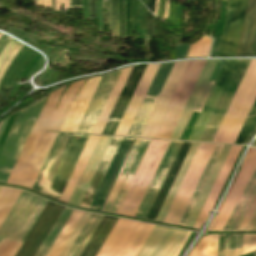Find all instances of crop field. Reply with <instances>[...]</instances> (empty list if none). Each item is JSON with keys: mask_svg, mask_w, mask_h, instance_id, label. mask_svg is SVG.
Returning <instances> with one entry per match:
<instances>
[{"mask_svg": "<svg viewBox=\"0 0 256 256\" xmlns=\"http://www.w3.org/2000/svg\"><path fill=\"white\" fill-rule=\"evenodd\" d=\"M256 133V100L248 114V117L235 141V144L246 145Z\"/></svg>", "mask_w": 256, "mask_h": 256, "instance_id": "e1f06a70", "label": "crop field"}, {"mask_svg": "<svg viewBox=\"0 0 256 256\" xmlns=\"http://www.w3.org/2000/svg\"><path fill=\"white\" fill-rule=\"evenodd\" d=\"M62 209L63 206L48 201L15 256H34Z\"/></svg>", "mask_w": 256, "mask_h": 256, "instance_id": "3316defc", "label": "crop field"}, {"mask_svg": "<svg viewBox=\"0 0 256 256\" xmlns=\"http://www.w3.org/2000/svg\"><path fill=\"white\" fill-rule=\"evenodd\" d=\"M199 145L200 144H196V143L192 144V146H191V148L181 166V169H180V171H179V173H178V175L168 193V196H167V198H166V200L156 218L157 221H161V222L163 221Z\"/></svg>", "mask_w": 256, "mask_h": 256, "instance_id": "750c4746", "label": "crop field"}, {"mask_svg": "<svg viewBox=\"0 0 256 256\" xmlns=\"http://www.w3.org/2000/svg\"><path fill=\"white\" fill-rule=\"evenodd\" d=\"M61 3L64 4V10H67L69 6V0H55V10H60Z\"/></svg>", "mask_w": 256, "mask_h": 256, "instance_id": "dbb93151", "label": "crop field"}, {"mask_svg": "<svg viewBox=\"0 0 256 256\" xmlns=\"http://www.w3.org/2000/svg\"><path fill=\"white\" fill-rule=\"evenodd\" d=\"M173 64L160 65L126 136H139Z\"/></svg>", "mask_w": 256, "mask_h": 256, "instance_id": "d1516ede", "label": "crop field"}, {"mask_svg": "<svg viewBox=\"0 0 256 256\" xmlns=\"http://www.w3.org/2000/svg\"><path fill=\"white\" fill-rule=\"evenodd\" d=\"M72 7H79V8H82V6H81V0H70V6H69V8H72Z\"/></svg>", "mask_w": 256, "mask_h": 256, "instance_id": "7b73153f", "label": "crop field"}, {"mask_svg": "<svg viewBox=\"0 0 256 256\" xmlns=\"http://www.w3.org/2000/svg\"><path fill=\"white\" fill-rule=\"evenodd\" d=\"M111 138L112 137H106V136L100 137L85 167V170L69 200L70 204H74L77 206L79 205Z\"/></svg>", "mask_w": 256, "mask_h": 256, "instance_id": "92a150f3", "label": "crop field"}, {"mask_svg": "<svg viewBox=\"0 0 256 256\" xmlns=\"http://www.w3.org/2000/svg\"><path fill=\"white\" fill-rule=\"evenodd\" d=\"M231 147L232 146H228V145L224 146V148H223V150H222V152H221V154H220V156H219V158H218V160H217V162H216V164L206 182V185H205V187H204V189H203V191H202V193H201V195H200V197H199V199H198V201H197V203H196V205L186 223L187 227H191V228L193 227Z\"/></svg>", "mask_w": 256, "mask_h": 256, "instance_id": "d3111659", "label": "crop field"}, {"mask_svg": "<svg viewBox=\"0 0 256 256\" xmlns=\"http://www.w3.org/2000/svg\"><path fill=\"white\" fill-rule=\"evenodd\" d=\"M45 97L20 111L0 152V182L5 183L15 160L43 106Z\"/></svg>", "mask_w": 256, "mask_h": 256, "instance_id": "412701ff", "label": "crop field"}, {"mask_svg": "<svg viewBox=\"0 0 256 256\" xmlns=\"http://www.w3.org/2000/svg\"><path fill=\"white\" fill-rule=\"evenodd\" d=\"M85 81L71 84L60 100L64 87L49 94L6 183L32 188L58 134L44 132V130H59L78 89Z\"/></svg>", "mask_w": 256, "mask_h": 256, "instance_id": "8a807250", "label": "crop field"}, {"mask_svg": "<svg viewBox=\"0 0 256 256\" xmlns=\"http://www.w3.org/2000/svg\"><path fill=\"white\" fill-rule=\"evenodd\" d=\"M147 35L154 36V25H153V15L147 11V28H146Z\"/></svg>", "mask_w": 256, "mask_h": 256, "instance_id": "425ffa30", "label": "crop field"}, {"mask_svg": "<svg viewBox=\"0 0 256 256\" xmlns=\"http://www.w3.org/2000/svg\"><path fill=\"white\" fill-rule=\"evenodd\" d=\"M236 56H256V0H249Z\"/></svg>", "mask_w": 256, "mask_h": 256, "instance_id": "00972430", "label": "crop field"}, {"mask_svg": "<svg viewBox=\"0 0 256 256\" xmlns=\"http://www.w3.org/2000/svg\"><path fill=\"white\" fill-rule=\"evenodd\" d=\"M248 0H228V15L218 56H235Z\"/></svg>", "mask_w": 256, "mask_h": 256, "instance_id": "5a996713", "label": "crop field"}, {"mask_svg": "<svg viewBox=\"0 0 256 256\" xmlns=\"http://www.w3.org/2000/svg\"><path fill=\"white\" fill-rule=\"evenodd\" d=\"M34 52L35 51L29 49L26 46H23L21 48V50L18 52V54L13 59L11 65L9 66L7 72L5 73L4 77L2 78V80L0 82V95H1L3 88L12 87L20 70L26 64V62L29 60L30 56Z\"/></svg>", "mask_w": 256, "mask_h": 256, "instance_id": "bd1437ed", "label": "crop field"}, {"mask_svg": "<svg viewBox=\"0 0 256 256\" xmlns=\"http://www.w3.org/2000/svg\"><path fill=\"white\" fill-rule=\"evenodd\" d=\"M189 44L179 45L177 47V58L186 57Z\"/></svg>", "mask_w": 256, "mask_h": 256, "instance_id": "73cf0c24", "label": "crop field"}, {"mask_svg": "<svg viewBox=\"0 0 256 256\" xmlns=\"http://www.w3.org/2000/svg\"><path fill=\"white\" fill-rule=\"evenodd\" d=\"M252 147H256V140H255L254 143L252 144Z\"/></svg>", "mask_w": 256, "mask_h": 256, "instance_id": "ade564c9", "label": "crop field"}, {"mask_svg": "<svg viewBox=\"0 0 256 256\" xmlns=\"http://www.w3.org/2000/svg\"><path fill=\"white\" fill-rule=\"evenodd\" d=\"M89 215H90V213L84 212L83 216L79 220L78 224L76 225L75 229L73 230L72 234L68 238L67 242L65 243L64 247L62 248V250L60 251L58 256H64L66 254L67 250L71 246L72 242L76 238L77 234L79 233L80 229L84 225V223L87 220V218L89 217Z\"/></svg>", "mask_w": 256, "mask_h": 256, "instance_id": "c21b1889", "label": "crop field"}, {"mask_svg": "<svg viewBox=\"0 0 256 256\" xmlns=\"http://www.w3.org/2000/svg\"><path fill=\"white\" fill-rule=\"evenodd\" d=\"M118 218L103 216L79 256H96Z\"/></svg>", "mask_w": 256, "mask_h": 256, "instance_id": "ae1a2a85", "label": "crop field"}, {"mask_svg": "<svg viewBox=\"0 0 256 256\" xmlns=\"http://www.w3.org/2000/svg\"><path fill=\"white\" fill-rule=\"evenodd\" d=\"M223 63H224V61H218L217 62L216 66H215V68H214V70H213V72H212V74H211V76H210L206 86H205V89H204V91H203V93H202V95H201V97H200V99H199V101H198V103H197V105L195 107L194 112H196V113L200 112V110H201V108H202V106H203V104H204V102H205V100H206L210 90H211V87H212V85H213V83H214V81H215V79H216V77H217V75H218V73H219Z\"/></svg>", "mask_w": 256, "mask_h": 256, "instance_id": "c035e120", "label": "crop field"}, {"mask_svg": "<svg viewBox=\"0 0 256 256\" xmlns=\"http://www.w3.org/2000/svg\"><path fill=\"white\" fill-rule=\"evenodd\" d=\"M168 6H169V0L166 1V9H165V17H164V20H165V21H166V19H167Z\"/></svg>", "mask_w": 256, "mask_h": 256, "instance_id": "e1d0b9f6", "label": "crop field"}, {"mask_svg": "<svg viewBox=\"0 0 256 256\" xmlns=\"http://www.w3.org/2000/svg\"><path fill=\"white\" fill-rule=\"evenodd\" d=\"M7 121H8V119L5 120V121L3 122V124H2V126H1V128H0V135H1V133H2V131H3V129H4V127H5L6 123H7Z\"/></svg>", "mask_w": 256, "mask_h": 256, "instance_id": "ae633e8c", "label": "crop field"}, {"mask_svg": "<svg viewBox=\"0 0 256 256\" xmlns=\"http://www.w3.org/2000/svg\"><path fill=\"white\" fill-rule=\"evenodd\" d=\"M66 49H64L60 54H59V56L54 60V62L53 63H56V64H61V65H65V64H67L68 63V60H67V57H66V55H65V53H66Z\"/></svg>", "mask_w": 256, "mask_h": 256, "instance_id": "25e5ab78", "label": "crop field"}, {"mask_svg": "<svg viewBox=\"0 0 256 256\" xmlns=\"http://www.w3.org/2000/svg\"><path fill=\"white\" fill-rule=\"evenodd\" d=\"M154 1L155 0H148L147 7L153 13L154 10Z\"/></svg>", "mask_w": 256, "mask_h": 256, "instance_id": "78b8030e", "label": "crop field"}, {"mask_svg": "<svg viewBox=\"0 0 256 256\" xmlns=\"http://www.w3.org/2000/svg\"><path fill=\"white\" fill-rule=\"evenodd\" d=\"M160 64L148 65L114 135L125 136Z\"/></svg>", "mask_w": 256, "mask_h": 256, "instance_id": "bc2a9ffb", "label": "crop field"}, {"mask_svg": "<svg viewBox=\"0 0 256 256\" xmlns=\"http://www.w3.org/2000/svg\"><path fill=\"white\" fill-rule=\"evenodd\" d=\"M182 142L171 141L135 217L145 219Z\"/></svg>", "mask_w": 256, "mask_h": 256, "instance_id": "733c2abd", "label": "crop field"}, {"mask_svg": "<svg viewBox=\"0 0 256 256\" xmlns=\"http://www.w3.org/2000/svg\"><path fill=\"white\" fill-rule=\"evenodd\" d=\"M11 39L12 38L2 34V36L0 37V53L7 46V44L10 42Z\"/></svg>", "mask_w": 256, "mask_h": 256, "instance_id": "1f2cbd36", "label": "crop field"}, {"mask_svg": "<svg viewBox=\"0 0 256 256\" xmlns=\"http://www.w3.org/2000/svg\"><path fill=\"white\" fill-rule=\"evenodd\" d=\"M52 71H53V70L48 67L47 71L45 72L44 76L42 77L41 81H40L39 84H38L39 86H40L45 80L49 79V77H50Z\"/></svg>", "mask_w": 256, "mask_h": 256, "instance_id": "0765c3eb", "label": "crop field"}, {"mask_svg": "<svg viewBox=\"0 0 256 256\" xmlns=\"http://www.w3.org/2000/svg\"><path fill=\"white\" fill-rule=\"evenodd\" d=\"M102 216L91 213L75 242L73 243L71 249L66 256H78L83 249L84 245L88 241L89 237L93 233L97 224L101 220Z\"/></svg>", "mask_w": 256, "mask_h": 256, "instance_id": "120bbe31", "label": "crop field"}, {"mask_svg": "<svg viewBox=\"0 0 256 256\" xmlns=\"http://www.w3.org/2000/svg\"><path fill=\"white\" fill-rule=\"evenodd\" d=\"M100 17H101V26H100V31H102V28H103V18H102V0H100Z\"/></svg>", "mask_w": 256, "mask_h": 256, "instance_id": "0f1d7ab4", "label": "crop field"}, {"mask_svg": "<svg viewBox=\"0 0 256 256\" xmlns=\"http://www.w3.org/2000/svg\"><path fill=\"white\" fill-rule=\"evenodd\" d=\"M136 2H137V0H134L133 9H132V30H131V37L133 36L134 27H135V8H136Z\"/></svg>", "mask_w": 256, "mask_h": 256, "instance_id": "9d1cf04e", "label": "crop field"}, {"mask_svg": "<svg viewBox=\"0 0 256 256\" xmlns=\"http://www.w3.org/2000/svg\"><path fill=\"white\" fill-rule=\"evenodd\" d=\"M147 65L135 66L101 134L113 135Z\"/></svg>", "mask_w": 256, "mask_h": 256, "instance_id": "4a817a6b", "label": "crop field"}, {"mask_svg": "<svg viewBox=\"0 0 256 256\" xmlns=\"http://www.w3.org/2000/svg\"><path fill=\"white\" fill-rule=\"evenodd\" d=\"M90 18H96L95 0H89Z\"/></svg>", "mask_w": 256, "mask_h": 256, "instance_id": "1d79db26", "label": "crop field"}, {"mask_svg": "<svg viewBox=\"0 0 256 256\" xmlns=\"http://www.w3.org/2000/svg\"><path fill=\"white\" fill-rule=\"evenodd\" d=\"M120 71L102 77L76 132H91Z\"/></svg>", "mask_w": 256, "mask_h": 256, "instance_id": "5142ce71", "label": "crop field"}, {"mask_svg": "<svg viewBox=\"0 0 256 256\" xmlns=\"http://www.w3.org/2000/svg\"><path fill=\"white\" fill-rule=\"evenodd\" d=\"M149 142L150 141H143V140H136L135 141V143H134V145L131 149V152H130L127 160H126L127 163H126V165H125V167H124V169H123V171H122V173H121V175H120L116 184H119V185L123 186L128 174H131V175L134 174V172H135V170H136V168H137V166H138V164H139V162H140V160H141ZM135 147H138V149H137L134 157L131 158ZM125 192L126 191L120 189L115 201L114 202L107 201L104 208H103V211H108V212L115 213L119 204H120V202H121V200H122V198H123V196H124V194H125Z\"/></svg>", "mask_w": 256, "mask_h": 256, "instance_id": "a9b5d70f", "label": "crop field"}, {"mask_svg": "<svg viewBox=\"0 0 256 256\" xmlns=\"http://www.w3.org/2000/svg\"><path fill=\"white\" fill-rule=\"evenodd\" d=\"M83 5V19H89L88 16V0H82Z\"/></svg>", "mask_w": 256, "mask_h": 256, "instance_id": "0fb4a251", "label": "crop field"}, {"mask_svg": "<svg viewBox=\"0 0 256 256\" xmlns=\"http://www.w3.org/2000/svg\"><path fill=\"white\" fill-rule=\"evenodd\" d=\"M36 6L42 7V0H36Z\"/></svg>", "mask_w": 256, "mask_h": 256, "instance_id": "d14b1444", "label": "crop field"}, {"mask_svg": "<svg viewBox=\"0 0 256 256\" xmlns=\"http://www.w3.org/2000/svg\"><path fill=\"white\" fill-rule=\"evenodd\" d=\"M134 140L129 138L122 139L89 208L101 209Z\"/></svg>", "mask_w": 256, "mask_h": 256, "instance_id": "d9b57169", "label": "crop field"}, {"mask_svg": "<svg viewBox=\"0 0 256 256\" xmlns=\"http://www.w3.org/2000/svg\"><path fill=\"white\" fill-rule=\"evenodd\" d=\"M47 200L22 191L4 223L0 227L2 240L22 244Z\"/></svg>", "mask_w": 256, "mask_h": 256, "instance_id": "ac0d7876", "label": "crop field"}, {"mask_svg": "<svg viewBox=\"0 0 256 256\" xmlns=\"http://www.w3.org/2000/svg\"><path fill=\"white\" fill-rule=\"evenodd\" d=\"M240 149H241V147H237V146L232 147V149H231V151H230V153L220 171V174H219L193 228H200V226L202 225V223L208 216V211L213 209V207L219 197V194L226 182V179L233 167V164L240 152Z\"/></svg>", "mask_w": 256, "mask_h": 256, "instance_id": "dafd665d", "label": "crop field"}, {"mask_svg": "<svg viewBox=\"0 0 256 256\" xmlns=\"http://www.w3.org/2000/svg\"><path fill=\"white\" fill-rule=\"evenodd\" d=\"M17 41L13 40L9 43V45L5 48V50L0 55V65L4 58L7 56V54L10 52V50L13 48V46L16 44Z\"/></svg>", "mask_w": 256, "mask_h": 256, "instance_id": "89e229c0", "label": "crop field"}, {"mask_svg": "<svg viewBox=\"0 0 256 256\" xmlns=\"http://www.w3.org/2000/svg\"><path fill=\"white\" fill-rule=\"evenodd\" d=\"M255 211H256V196H255V198H254V200H253V202H252L248 212L246 213V215H245V217H244V219H243V221H242L238 231H246V229H247V227H248V225H249V223H250V221H251Z\"/></svg>", "mask_w": 256, "mask_h": 256, "instance_id": "5d738f31", "label": "crop field"}, {"mask_svg": "<svg viewBox=\"0 0 256 256\" xmlns=\"http://www.w3.org/2000/svg\"><path fill=\"white\" fill-rule=\"evenodd\" d=\"M243 235H219L217 256H239Z\"/></svg>", "mask_w": 256, "mask_h": 256, "instance_id": "5866460e", "label": "crop field"}, {"mask_svg": "<svg viewBox=\"0 0 256 256\" xmlns=\"http://www.w3.org/2000/svg\"><path fill=\"white\" fill-rule=\"evenodd\" d=\"M168 142L151 141L117 210L118 214L134 216Z\"/></svg>", "mask_w": 256, "mask_h": 256, "instance_id": "34b2d1b8", "label": "crop field"}, {"mask_svg": "<svg viewBox=\"0 0 256 256\" xmlns=\"http://www.w3.org/2000/svg\"><path fill=\"white\" fill-rule=\"evenodd\" d=\"M121 139L122 138H117V137L112 138V140H111V142H110V144H109V146H108V148H107V150H106V152L96 170V173H95V175H94V177H93V179H92V181H91V183H90V185H89V187L79 205L80 207H85V208L89 207L91 200L94 196V193H95Z\"/></svg>", "mask_w": 256, "mask_h": 256, "instance_id": "eef30255", "label": "crop field"}, {"mask_svg": "<svg viewBox=\"0 0 256 256\" xmlns=\"http://www.w3.org/2000/svg\"><path fill=\"white\" fill-rule=\"evenodd\" d=\"M72 212H73L72 209L64 207L63 211L59 215L58 219L56 220L55 224L53 225L52 229L48 233L47 237L45 238L44 242L40 246L35 256H46L49 249L51 248L54 241L56 240L57 236L59 235L62 228L64 227L65 223L67 222L68 218L72 214Z\"/></svg>", "mask_w": 256, "mask_h": 256, "instance_id": "d32e631a", "label": "crop field"}, {"mask_svg": "<svg viewBox=\"0 0 256 256\" xmlns=\"http://www.w3.org/2000/svg\"><path fill=\"white\" fill-rule=\"evenodd\" d=\"M219 41L214 39V43H213V47H212V51H211V55L210 57L216 56L217 55V51H218V47H219Z\"/></svg>", "mask_w": 256, "mask_h": 256, "instance_id": "447ae74e", "label": "crop field"}, {"mask_svg": "<svg viewBox=\"0 0 256 256\" xmlns=\"http://www.w3.org/2000/svg\"><path fill=\"white\" fill-rule=\"evenodd\" d=\"M192 143L183 142L146 219L154 220Z\"/></svg>", "mask_w": 256, "mask_h": 256, "instance_id": "730fd06b", "label": "crop field"}, {"mask_svg": "<svg viewBox=\"0 0 256 256\" xmlns=\"http://www.w3.org/2000/svg\"><path fill=\"white\" fill-rule=\"evenodd\" d=\"M24 46V45H23ZM22 47V44L18 43L15 45V47L12 49V51L9 53V55L6 57L4 62L2 63L0 67V79L2 78L3 74L7 70L11 60L14 58V56L17 54L19 49Z\"/></svg>", "mask_w": 256, "mask_h": 256, "instance_id": "d23c7cc5", "label": "crop field"}, {"mask_svg": "<svg viewBox=\"0 0 256 256\" xmlns=\"http://www.w3.org/2000/svg\"><path fill=\"white\" fill-rule=\"evenodd\" d=\"M76 135H80L78 140H75ZM88 138L89 135H74L69 148L61 162V165L54 177V180L47 192V196L57 200L59 199Z\"/></svg>", "mask_w": 256, "mask_h": 256, "instance_id": "28ad6ade", "label": "crop field"}, {"mask_svg": "<svg viewBox=\"0 0 256 256\" xmlns=\"http://www.w3.org/2000/svg\"><path fill=\"white\" fill-rule=\"evenodd\" d=\"M74 134L59 133L50 153L41 169V172L33 186V190L46 194L56 172L48 170L54 155L63 157ZM55 156L49 169L57 170L62 158Z\"/></svg>", "mask_w": 256, "mask_h": 256, "instance_id": "cbeb9de0", "label": "crop field"}, {"mask_svg": "<svg viewBox=\"0 0 256 256\" xmlns=\"http://www.w3.org/2000/svg\"><path fill=\"white\" fill-rule=\"evenodd\" d=\"M132 1L133 0H125V34H124V39L130 37Z\"/></svg>", "mask_w": 256, "mask_h": 256, "instance_id": "03da06ac", "label": "crop field"}, {"mask_svg": "<svg viewBox=\"0 0 256 256\" xmlns=\"http://www.w3.org/2000/svg\"><path fill=\"white\" fill-rule=\"evenodd\" d=\"M217 60H207L169 139L179 140Z\"/></svg>", "mask_w": 256, "mask_h": 256, "instance_id": "214f88e0", "label": "crop field"}, {"mask_svg": "<svg viewBox=\"0 0 256 256\" xmlns=\"http://www.w3.org/2000/svg\"><path fill=\"white\" fill-rule=\"evenodd\" d=\"M216 146V145H215ZM224 145H217L178 225L184 226Z\"/></svg>", "mask_w": 256, "mask_h": 256, "instance_id": "1d83c4d3", "label": "crop field"}, {"mask_svg": "<svg viewBox=\"0 0 256 256\" xmlns=\"http://www.w3.org/2000/svg\"><path fill=\"white\" fill-rule=\"evenodd\" d=\"M0 189H1V187H0Z\"/></svg>", "mask_w": 256, "mask_h": 256, "instance_id": "c3a83c6f", "label": "crop field"}, {"mask_svg": "<svg viewBox=\"0 0 256 256\" xmlns=\"http://www.w3.org/2000/svg\"><path fill=\"white\" fill-rule=\"evenodd\" d=\"M43 6H47V0H43Z\"/></svg>", "mask_w": 256, "mask_h": 256, "instance_id": "c39391a2", "label": "crop field"}, {"mask_svg": "<svg viewBox=\"0 0 256 256\" xmlns=\"http://www.w3.org/2000/svg\"><path fill=\"white\" fill-rule=\"evenodd\" d=\"M188 62H175L139 137H153Z\"/></svg>", "mask_w": 256, "mask_h": 256, "instance_id": "d8731c3e", "label": "crop field"}, {"mask_svg": "<svg viewBox=\"0 0 256 256\" xmlns=\"http://www.w3.org/2000/svg\"><path fill=\"white\" fill-rule=\"evenodd\" d=\"M218 235L201 238L189 256H216Z\"/></svg>", "mask_w": 256, "mask_h": 256, "instance_id": "0bd39190", "label": "crop field"}, {"mask_svg": "<svg viewBox=\"0 0 256 256\" xmlns=\"http://www.w3.org/2000/svg\"><path fill=\"white\" fill-rule=\"evenodd\" d=\"M250 60H238L199 141L211 142Z\"/></svg>", "mask_w": 256, "mask_h": 256, "instance_id": "e52e79f7", "label": "crop field"}, {"mask_svg": "<svg viewBox=\"0 0 256 256\" xmlns=\"http://www.w3.org/2000/svg\"><path fill=\"white\" fill-rule=\"evenodd\" d=\"M205 61L189 62L153 138H169Z\"/></svg>", "mask_w": 256, "mask_h": 256, "instance_id": "f4fd0767", "label": "crop field"}, {"mask_svg": "<svg viewBox=\"0 0 256 256\" xmlns=\"http://www.w3.org/2000/svg\"><path fill=\"white\" fill-rule=\"evenodd\" d=\"M237 60H226L188 140L198 141Z\"/></svg>", "mask_w": 256, "mask_h": 256, "instance_id": "22f410ed", "label": "crop field"}, {"mask_svg": "<svg viewBox=\"0 0 256 256\" xmlns=\"http://www.w3.org/2000/svg\"><path fill=\"white\" fill-rule=\"evenodd\" d=\"M247 231H256V213H255Z\"/></svg>", "mask_w": 256, "mask_h": 256, "instance_id": "db79e9e6", "label": "crop field"}, {"mask_svg": "<svg viewBox=\"0 0 256 256\" xmlns=\"http://www.w3.org/2000/svg\"><path fill=\"white\" fill-rule=\"evenodd\" d=\"M111 32L113 38L123 39L124 0H111Z\"/></svg>", "mask_w": 256, "mask_h": 256, "instance_id": "028f5c9d", "label": "crop field"}, {"mask_svg": "<svg viewBox=\"0 0 256 256\" xmlns=\"http://www.w3.org/2000/svg\"><path fill=\"white\" fill-rule=\"evenodd\" d=\"M256 250V235H244L242 255Z\"/></svg>", "mask_w": 256, "mask_h": 256, "instance_id": "b54c1fbb", "label": "crop field"}, {"mask_svg": "<svg viewBox=\"0 0 256 256\" xmlns=\"http://www.w3.org/2000/svg\"><path fill=\"white\" fill-rule=\"evenodd\" d=\"M210 43L211 39L203 35L199 41L190 45L187 57H207Z\"/></svg>", "mask_w": 256, "mask_h": 256, "instance_id": "b80d0937", "label": "crop field"}, {"mask_svg": "<svg viewBox=\"0 0 256 256\" xmlns=\"http://www.w3.org/2000/svg\"><path fill=\"white\" fill-rule=\"evenodd\" d=\"M246 256H255V253H252V254H248Z\"/></svg>", "mask_w": 256, "mask_h": 256, "instance_id": "c5b07064", "label": "crop field"}, {"mask_svg": "<svg viewBox=\"0 0 256 256\" xmlns=\"http://www.w3.org/2000/svg\"><path fill=\"white\" fill-rule=\"evenodd\" d=\"M256 194V168L252 173L244 191L242 192L233 212L231 213L223 231H237L245 213Z\"/></svg>", "mask_w": 256, "mask_h": 256, "instance_id": "4177f3b9", "label": "crop field"}, {"mask_svg": "<svg viewBox=\"0 0 256 256\" xmlns=\"http://www.w3.org/2000/svg\"><path fill=\"white\" fill-rule=\"evenodd\" d=\"M185 233V230L155 225L137 256H172ZM190 234L187 231L173 256H178Z\"/></svg>", "mask_w": 256, "mask_h": 256, "instance_id": "dd49c442", "label": "crop field"}]
</instances>
